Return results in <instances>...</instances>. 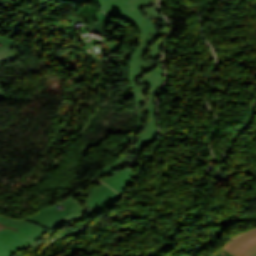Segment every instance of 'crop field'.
Here are the masks:
<instances>
[{
	"mask_svg": "<svg viewBox=\"0 0 256 256\" xmlns=\"http://www.w3.org/2000/svg\"><path fill=\"white\" fill-rule=\"evenodd\" d=\"M98 2L103 11L108 16H116L130 21L140 31L141 34L139 46L134 52V55L131 59L129 72V80L133 89L140 120L137 128L133 132L125 136L123 143L124 153L121 158L100 170L99 173L96 175V178L100 179L105 175L118 170V165L120 161L130 160L126 155L129 152L124 149V145L133 142L138 131L141 129L142 126H144L146 118L144 108L142 106V100L145 96V92L142 89L143 86L137 84L135 82V79L149 69L153 68L154 64H148L141 56L147 49L148 42L156 40L162 34L154 30V21L143 18L141 14L140 9L143 6L152 3L151 0H98Z\"/></svg>",
	"mask_w": 256,
	"mask_h": 256,
	"instance_id": "crop-field-1",
	"label": "crop field"
},
{
	"mask_svg": "<svg viewBox=\"0 0 256 256\" xmlns=\"http://www.w3.org/2000/svg\"><path fill=\"white\" fill-rule=\"evenodd\" d=\"M97 180L87 183L65 202V208L57 210L56 206L44 208L22 220H11L0 216V256H13L14 253L34 243L40 238V232L55 227L60 218L71 221L82 218V203L76 198L80 191Z\"/></svg>",
	"mask_w": 256,
	"mask_h": 256,
	"instance_id": "crop-field-2",
	"label": "crop field"
},
{
	"mask_svg": "<svg viewBox=\"0 0 256 256\" xmlns=\"http://www.w3.org/2000/svg\"><path fill=\"white\" fill-rule=\"evenodd\" d=\"M145 14L147 16H154L162 21V24L158 25V27L165 32V36L161 40L151 43L149 45V51L145 54V57L149 61H157V68L139 79V82L145 83L148 86V98L145 101V108L148 113L149 119L146 128L143 130V132L139 134L138 141L135 142L130 148L138 150L140 154L142 153L143 148L147 147L148 145L157 140L158 130L155 98L163 82V68L161 65V58L157 53L161 51L163 42L167 36L168 31V25L166 23V20L157 13L156 5L146 7Z\"/></svg>",
	"mask_w": 256,
	"mask_h": 256,
	"instance_id": "crop-field-3",
	"label": "crop field"
},
{
	"mask_svg": "<svg viewBox=\"0 0 256 256\" xmlns=\"http://www.w3.org/2000/svg\"><path fill=\"white\" fill-rule=\"evenodd\" d=\"M135 169L127 168L104 180L100 185L94 186L89 195L83 199L88 208L84 212L89 217L117 202L126 193Z\"/></svg>",
	"mask_w": 256,
	"mask_h": 256,
	"instance_id": "crop-field-4",
	"label": "crop field"
},
{
	"mask_svg": "<svg viewBox=\"0 0 256 256\" xmlns=\"http://www.w3.org/2000/svg\"><path fill=\"white\" fill-rule=\"evenodd\" d=\"M224 249L234 256H250L255 253L256 229L235 238Z\"/></svg>",
	"mask_w": 256,
	"mask_h": 256,
	"instance_id": "crop-field-5",
	"label": "crop field"
},
{
	"mask_svg": "<svg viewBox=\"0 0 256 256\" xmlns=\"http://www.w3.org/2000/svg\"><path fill=\"white\" fill-rule=\"evenodd\" d=\"M0 44L4 45L2 48L0 47V66L17 59L16 55L9 49L15 44L14 40L0 36Z\"/></svg>",
	"mask_w": 256,
	"mask_h": 256,
	"instance_id": "crop-field-6",
	"label": "crop field"
},
{
	"mask_svg": "<svg viewBox=\"0 0 256 256\" xmlns=\"http://www.w3.org/2000/svg\"><path fill=\"white\" fill-rule=\"evenodd\" d=\"M213 256H233L230 253H228L227 251H225L224 249L216 254H214Z\"/></svg>",
	"mask_w": 256,
	"mask_h": 256,
	"instance_id": "crop-field-7",
	"label": "crop field"
},
{
	"mask_svg": "<svg viewBox=\"0 0 256 256\" xmlns=\"http://www.w3.org/2000/svg\"><path fill=\"white\" fill-rule=\"evenodd\" d=\"M8 98V95L5 93V91L0 86V100Z\"/></svg>",
	"mask_w": 256,
	"mask_h": 256,
	"instance_id": "crop-field-8",
	"label": "crop field"
},
{
	"mask_svg": "<svg viewBox=\"0 0 256 256\" xmlns=\"http://www.w3.org/2000/svg\"><path fill=\"white\" fill-rule=\"evenodd\" d=\"M64 1L76 2V3H84V2H88V1H92V0H64Z\"/></svg>",
	"mask_w": 256,
	"mask_h": 256,
	"instance_id": "crop-field-9",
	"label": "crop field"
},
{
	"mask_svg": "<svg viewBox=\"0 0 256 256\" xmlns=\"http://www.w3.org/2000/svg\"><path fill=\"white\" fill-rule=\"evenodd\" d=\"M252 256H256V254L252 255Z\"/></svg>",
	"mask_w": 256,
	"mask_h": 256,
	"instance_id": "crop-field-10",
	"label": "crop field"
}]
</instances>
